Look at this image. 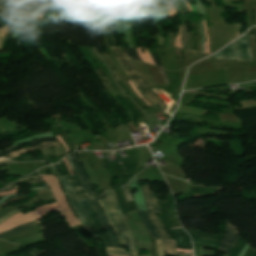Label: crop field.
<instances>
[{
    "mask_svg": "<svg viewBox=\"0 0 256 256\" xmlns=\"http://www.w3.org/2000/svg\"><path fill=\"white\" fill-rule=\"evenodd\" d=\"M35 225H38L37 221L32 222V223H28V224H24V225H22L20 227H17L15 229L0 233V237L7 236V235H10V234H15V233H17V232H19V231H21L25 228L32 227V226H35Z\"/></svg>",
    "mask_w": 256,
    "mask_h": 256,
    "instance_id": "crop-field-20",
    "label": "crop field"
},
{
    "mask_svg": "<svg viewBox=\"0 0 256 256\" xmlns=\"http://www.w3.org/2000/svg\"><path fill=\"white\" fill-rule=\"evenodd\" d=\"M22 1L33 2V3L39 4V2H36V1H29V0H22Z\"/></svg>",
    "mask_w": 256,
    "mask_h": 256,
    "instance_id": "crop-field-52",
    "label": "crop field"
},
{
    "mask_svg": "<svg viewBox=\"0 0 256 256\" xmlns=\"http://www.w3.org/2000/svg\"><path fill=\"white\" fill-rule=\"evenodd\" d=\"M115 58L127 74L129 78L142 76L136 66L132 63V61L128 58L125 52L121 49V47H110Z\"/></svg>",
    "mask_w": 256,
    "mask_h": 256,
    "instance_id": "crop-field-8",
    "label": "crop field"
},
{
    "mask_svg": "<svg viewBox=\"0 0 256 256\" xmlns=\"http://www.w3.org/2000/svg\"><path fill=\"white\" fill-rule=\"evenodd\" d=\"M175 45H174V47H180V48H182V46H181V39H180V33L178 34V36L175 38Z\"/></svg>",
    "mask_w": 256,
    "mask_h": 256,
    "instance_id": "crop-field-34",
    "label": "crop field"
},
{
    "mask_svg": "<svg viewBox=\"0 0 256 256\" xmlns=\"http://www.w3.org/2000/svg\"><path fill=\"white\" fill-rule=\"evenodd\" d=\"M98 201H99V203H100V205H101V207H102V209H103L107 219L109 220V222H110V224H111L115 234L119 238L120 244L121 245H127V240H126L123 232L121 231V229H120V227H119L115 217L111 214L106 199L103 198V199H100Z\"/></svg>",
    "mask_w": 256,
    "mask_h": 256,
    "instance_id": "crop-field-10",
    "label": "crop field"
},
{
    "mask_svg": "<svg viewBox=\"0 0 256 256\" xmlns=\"http://www.w3.org/2000/svg\"><path fill=\"white\" fill-rule=\"evenodd\" d=\"M63 161H64V163H65V165H66V167H67V169H68L70 175H73V174H72V171H71V169H70L69 163H68V161H67V158L65 157V158L63 159Z\"/></svg>",
    "mask_w": 256,
    "mask_h": 256,
    "instance_id": "crop-field-37",
    "label": "crop field"
},
{
    "mask_svg": "<svg viewBox=\"0 0 256 256\" xmlns=\"http://www.w3.org/2000/svg\"><path fill=\"white\" fill-rule=\"evenodd\" d=\"M195 32H196V30H194L193 35L195 34ZM194 50L197 51V48H196V38H194Z\"/></svg>",
    "mask_w": 256,
    "mask_h": 256,
    "instance_id": "crop-field-45",
    "label": "crop field"
},
{
    "mask_svg": "<svg viewBox=\"0 0 256 256\" xmlns=\"http://www.w3.org/2000/svg\"><path fill=\"white\" fill-rule=\"evenodd\" d=\"M177 252H184V253H192V250H179L176 249Z\"/></svg>",
    "mask_w": 256,
    "mask_h": 256,
    "instance_id": "crop-field-43",
    "label": "crop field"
},
{
    "mask_svg": "<svg viewBox=\"0 0 256 256\" xmlns=\"http://www.w3.org/2000/svg\"><path fill=\"white\" fill-rule=\"evenodd\" d=\"M65 15H66V8H65V11H64L63 20H65Z\"/></svg>",
    "mask_w": 256,
    "mask_h": 256,
    "instance_id": "crop-field-54",
    "label": "crop field"
},
{
    "mask_svg": "<svg viewBox=\"0 0 256 256\" xmlns=\"http://www.w3.org/2000/svg\"><path fill=\"white\" fill-rule=\"evenodd\" d=\"M40 178L39 175H36V176H32V177H28V178H24V179H21L19 181H17L16 183H19V182H23V181H27V180H32V179H38ZM15 183V184H16ZM14 185V184H13ZM12 186V185H11Z\"/></svg>",
    "mask_w": 256,
    "mask_h": 256,
    "instance_id": "crop-field-35",
    "label": "crop field"
},
{
    "mask_svg": "<svg viewBox=\"0 0 256 256\" xmlns=\"http://www.w3.org/2000/svg\"><path fill=\"white\" fill-rule=\"evenodd\" d=\"M194 52V51H193ZM198 56H200L201 58H203V57H205V56H207V55H205V54H202V53H199V52H195Z\"/></svg>",
    "mask_w": 256,
    "mask_h": 256,
    "instance_id": "crop-field-47",
    "label": "crop field"
},
{
    "mask_svg": "<svg viewBox=\"0 0 256 256\" xmlns=\"http://www.w3.org/2000/svg\"><path fill=\"white\" fill-rule=\"evenodd\" d=\"M96 7L100 19L101 30L104 35L105 46H116L115 40L112 38V29L110 26V18L107 7L97 5Z\"/></svg>",
    "mask_w": 256,
    "mask_h": 256,
    "instance_id": "crop-field-9",
    "label": "crop field"
},
{
    "mask_svg": "<svg viewBox=\"0 0 256 256\" xmlns=\"http://www.w3.org/2000/svg\"><path fill=\"white\" fill-rule=\"evenodd\" d=\"M138 213H139V215H140V217H141V219H142V221H143V223H144V225H145V227H146V229H147L151 239L159 238L158 235L156 234V232H155V230H154V228H153L149 218H148L147 213L146 212H138Z\"/></svg>",
    "mask_w": 256,
    "mask_h": 256,
    "instance_id": "crop-field-15",
    "label": "crop field"
},
{
    "mask_svg": "<svg viewBox=\"0 0 256 256\" xmlns=\"http://www.w3.org/2000/svg\"><path fill=\"white\" fill-rule=\"evenodd\" d=\"M122 191H123V193L125 195V198H126L127 202L133 201L132 194L129 191V185L124 186L122 188Z\"/></svg>",
    "mask_w": 256,
    "mask_h": 256,
    "instance_id": "crop-field-24",
    "label": "crop field"
},
{
    "mask_svg": "<svg viewBox=\"0 0 256 256\" xmlns=\"http://www.w3.org/2000/svg\"><path fill=\"white\" fill-rule=\"evenodd\" d=\"M238 234L239 232L236 230V228L230 225L229 221H227L226 235L219 249L220 251L226 252L225 256H228L229 252L231 251L238 238Z\"/></svg>",
    "mask_w": 256,
    "mask_h": 256,
    "instance_id": "crop-field-11",
    "label": "crop field"
},
{
    "mask_svg": "<svg viewBox=\"0 0 256 256\" xmlns=\"http://www.w3.org/2000/svg\"><path fill=\"white\" fill-rule=\"evenodd\" d=\"M47 188H48L47 186H42V187L35 188L31 191H40V190L47 189Z\"/></svg>",
    "mask_w": 256,
    "mask_h": 256,
    "instance_id": "crop-field-41",
    "label": "crop field"
},
{
    "mask_svg": "<svg viewBox=\"0 0 256 256\" xmlns=\"http://www.w3.org/2000/svg\"><path fill=\"white\" fill-rule=\"evenodd\" d=\"M71 155L74 160L75 169L80 178L81 187H82L83 191L87 192V194L86 193H84V194H85L88 204L95 211L100 223L104 227L107 235L110 237L112 246H119L118 238L113 233L108 220L106 219V217L104 216L103 212L101 211V209L98 205L97 199H96L94 193L92 192V188H91L90 182L88 180V177L82 169L80 160L77 157H75L74 154H71Z\"/></svg>",
    "mask_w": 256,
    "mask_h": 256,
    "instance_id": "crop-field-3",
    "label": "crop field"
},
{
    "mask_svg": "<svg viewBox=\"0 0 256 256\" xmlns=\"http://www.w3.org/2000/svg\"><path fill=\"white\" fill-rule=\"evenodd\" d=\"M126 54L130 57V59H139L138 54L136 52V48H124ZM141 61V60H140Z\"/></svg>",
    "mask_w": 256,
    "mask_h": 256,
    "instance_id": "crop-field-22",
    "label": "crop field"
},
{
    "mask_svg": "<svg viewBox=\"0 0 256 256\" xmlns=\"http://www.w3.org/2000/svg\"><path fill=\"white\" fill-rule=\"evenodd\" d=\"M170 47H173V34H171V42H170Z\"/></svg>",
    "mask_w": 256,
    "mask_h": 256,
    "instance_id": "crop-field-50",
    "label": "crop field"
},
{
    "mask_svg": "<svg viewBox=\"0 0 256 256\" xmlns=\"http://www.w3.org/2000/svg\"><path fill=\"white\" fill-rule=\"evenodd\" d=\"M150 51H151V54H152V56H153V59H154L156 65L162 67V65H161V63H160V61H159V59H158V57H157V54H156V53H153L152 50H150Z\"/></svg>",
    "mask_w": 256,
    "mask_h": 256,
    "instance_id": "crop-field-32",
    "label": "crop field"
},
{
    "mask_svg": "<svg viewBox=\"0 0 256 256\" xmlns=\"http://www.w3.org/2000/svg\"><path fill=\"white\" fill-rule=\"evenodd\" d=\"M41 151H42V153H43V157H41V158H34L32 155L23 156V157H22V162L34 161V160H46V159H49V158H53V157H54L51 148L43 149V150H41Z\"/></svg>",
    "mask_w": 256,
    "mask_h": 256,
    "instance_id": "crop-field-16",
    "label": "crop field"
},
{
    "mask_svg": "<svg viewBox=\"0 0 256 256\" xmlns=\"http://www.w3.org/2000/svg\"><path fill=\"white\" fill-rule=\"evenodd\" d=\"M106 252L108 256H130L129 253L119 247H106Z\"/></svg>",
    "mask_w": 256,
    "mask_h": 256,
    "instance_id": "crop-field-18",
    "label": "crop field"
},
{
    "mask_svg": "<svg viewBox=\"0 0 256 256\" xmlns=\"http://www.w3.org/2000/svg\"><path fill=\"white\" fill-rule=\"evenodd\" d=\"M252 85H256V82H251V83H247V84L239 85V87L252 86Z\"/></svg>",
    "mask_w": 256,
    "mask_h": 256,
    "instance_id": "crop-field-42",
    "label": "crop field"
},
{
    "mask_svg": "<svg viewBox=\"0 0 256 256\" xmlns=\"http://www.w3.org/2000/svg\"><path fill=\"white\" fill-rule=\"evenodd\" d=\"M214 57L217 59L253 61L247 34L235 40Z\"/></svg>",
    "mask_w": 256,
    "mask_h": 256,
    "instance_id": "crop-field-5",
    "label": "crop field"
},
{
    "mask_svg": "<svg viewBox=\"0 0 256 256\" xmlns=\"http://www.w3.org/2000/svg\"><path fill=\"white\" fill-rule=\"evenodd\" d=\"M16 196H20L19 194H14V195H8V196H4V197H1V201H0V204L4 203L7 199L9 198H13V197H16Z\"/></svg>",
    "mask_w": 256,
    "mask_h": 256,
    "instance_id": "crop-field-33",
    "label": "crop field"
},
{
    "mask_svg": "<svg viewBox=\"0 0 256 256\" xmlns=\"http://www.w3.org/2000/svg\"><path fill=\"white\" fill-rule=\"evenodd\" d=\"M129 83H130L132 89L134 90V92H135L139 97H141V98L147 103L148 106H151V104H150L147 100H145V99L138 93L137 89H136L135 86L132 84V82L130 81Z\"/></svg>",
    "mask_w": 256,
    "mask_h": 256,
    "instance_id": "crop-field-30",
    "label": "crop field"
},
{
    "mask_svg": "<svg viewBox=\"0 0 256 256\" xmlns=\"http://www.w3.org/2000/svg\"><path fill=\"white\" fill-rule=\"evenodd\" d=\"M46 169L47 170L50 169V172H51L50 175H56L57 179L60 182V185L63 189V192H64V194L67 198V201H68L71 209L73 210V212L75 213V215L79 219L82 226L90 232L92 237H94V238H100L101 237L105 246H111L110 239L108 238V236L104 232L103 228L99 224L94 212L90 209V207L86 203L85 197H84L83 192H82L81 187H80V183L78 181V177L77 176H68L72 185H73V187H74V190L76 192V195L78 197V200H79L82 208L84 209L85 213L89 217L90 221L92 222L95 230L100 235V237L98 236V234L94 230L91 222L89 221V219L87 218L83 209L81 208V206H80V204L77 200V197L75 195V192H74V190H73V188L70 184V181H69L68 177L67 176L60 177V174H59V171H58L56 165L46 167Z\"/></svg>",
    "mask_w": 256,
    "mask_h": 256,
    "instance_id": "crop-field-1",
    "label": "crop field"
},
{
    "mask_svg": "<svg viewBox=\"0 0 256 256\" xmlns=\"http://www.w3.org/2000/svg\"><path fill=\"white\" fill-rule=\"evenodd\" d=\"M141 49H142V48H137V52H138L139 56L141 57V59H142L144 62L148 63V64H153V65H155L154 62H153V60H152V58H151L150 53L146 50V48H144V50H145V53H144V54H143V52H142Z\"/></svg>",
    "mask_w": 256,
    "mask_h": 256,
    "instance_id": "crop-field-21",
    "label": "crop field"
},
{
    "mask_svg": "<svg viewBox=\"0 0 256 256\" xmlns=\"http://www.w3.org/2000/svg\"><path fill=\"white\" fill-rule=\"evenodd\" d=\"M203 24H204V28H205V36L207 38V41H206V44H205V52L210 54L208 28H207V24H206L205 21H203Z\"/></svg>",
    "mask_w": 256,
    "mask_h": 256,
    "instance_id": "crop-field-25",
    "label": "crop field"
},
{
    "mask_svg": "<svg viewBox=\"0 0 256 256\" xmlns=\"http://www.w3.org/2000/svg\"><path fill=\"white\" fill-rule=\"evenodd\" d=\"M184 1H185L186 5H187V7H188V10H189V11H192V10H191V7H190V5H189V3H188V1H187V0H184Z\"/></svg>",
    "mask_w": 256,
    "mask_h": 256,
    "instance_id": "crop-field-48",
    "label": "crop field"
},
{
    "mask_svg": "<svg viewBox=\"0 0 256 256\" xmlns=\"http://www.w3.org/2000/svg\"><path fill=\"white\" fill-rule=\"evenodd\" d=\"M9 26L10 24H6L3 28H0V50H2V45L7 37V33H8V30H9ZM12 27H13V24H11V27H10V33H9V37L11 36V33H12Z\"/></svg>",
    "mask_w": 256,
    "mask_h": 256,
    "instance_id": "crop-field-19",
    "label": "crop field"
},
{
    "mask_svg": "<svg viewBox=\"0 0 256 256\" xmlns=\"http://www.w3.org/2000/svg\"><path fill=\"white\" fill-rule=\"evenodd\" d=\"M159 47H166V37L161 38L160 34H157Z\"/></svg>",
    "mask_w": 256,
    "mask_h": 256,
    "instance_id": "crop-field-27",
    "label": "crop field"
},
{
    "mask_svg": "<svg viewBox=\"0 0 256 256\" xmlns=\"http://www.w3.org/2000/svg\"><path fill=\"white\" fill-rule=\"evenodd\" d=\"M141 190L146 204V208L148 210L149 218L154 227L156 228L159 237L164 239L166 253L177 256H193V254L175 253L176 242L175 240L169 239L164 227L162 226L158 218L157 213H160V208L156 197L153 195L152 192H150L149 185H144L143 187H141Z\"/></svg>",
    "mask_w": 256,
    "mask_h": 256,
    "instance_id": "crop-field-2",
    "label": "crop field"
},
{
    "mask_svg": "<svg viewBox=\"0 0 256 256\" xmlns=\"http://www.w3.org/2000/svg\"><path fill=\"white\" fill-rule=\"evenodd\" d=\"M157 68H158V67H157ZM158 69H159V71L162 73L163 78H164V80H165V83H166V84H169L168 81H167V77H166V74H165L164 70H162V69H160V68H158Z\"/></svg>",
    "mask_w": 256,
    "mask_h": 256,
    "instance_id": "crop-field-39",
    "label": "crop field"
},
{
    "mask_svg": "<svg viewBox=\"0 0 256 256\" xmlns=\"http://www.w3.org/2000/svg\"><path fill=\"white\" fill-rule=\"evenodd\" d=\"M0 15H6L10 17L14 16L19 18H31V19L41 18V13L26 12V11L2 8V7H0Z\"/></svg>",
    "mask_w": 256,
    "mask_h": 256,
    "instance_id": "crop-field-12",
    "label": "crop field"
},
{
    "mask_svg": "<svg viewBox=\"0 0 256 256\" xmlns=\"http://www.w3.org/2000/svg\"><path fill=\"white\" fill-rule=\"evenodd\" d=\"M156 241V246H157V251L159 256H165V251H164V246H163V240H155Z\"/></svg>",
    "mask_w": 256,
    "mask_h": 256,
    "instance_id": "crop-field-23",
    "label": "crop field"
},
{
    "mask_svg": "<svg viewBox=\"0 0 256 256\" xmlns=\"http://www.w3.org/2000/svg\"><path fill=\"white\" fill-rule=\"evenodd\" d=\"M96 73H97V74L99 75V77L101 78V80H102V82H103L105 88L108 89V87H107V85H106V83H105V81H104L102 75L97 71V69H96Z\"/></svg>",
    "mask_w": 256,
    "mask_h": 256,
    "instance_id": "crop-field-40",
    "label": "crop field"
},
{
    "mask_svg": "<svg viewBox=\"0 0 256 256\" xmlns=\"http://www.w3.org/2000/svg\"><path fill=\"white\" fill-rule=\"evenodd\" d=\"M102 56V58L105 60V62L108 64V66L110 67V69L113 71V73L116 75V77H117V79H118V81L119 80H121L120 79V77L117 75V73L115 72V70H114V68L112 67V65L109 63V61L105 58V56L104 55H101Z\"/></svg>",
    "mask_w": 256,
    "mask_h": 256,
    "instance_id": "crop-field-28",
    "label": "crop field"
},
{
    "mask_svg": "<svg viewBox=\"0 0 256 256\" xmlns=\"http://www.w3.org/2000/svg\"><path fill=\"white\" fill-rule=\"evenodd\" d=\"M167 47H169V34H168V37H167Z\"/></svg>",
    "mask_w": 256,
    "mask_h": 256,
    "instance_id": "crop-field-53",
    "label": "crop field"
},
{
    "mask_svg": "<svg viewBox=\"0 0 256 256\" xmlns=\"http://www.w3.org/2000/svg\"><path fill=\"white\" fill-rule=\"evenodd\" d=\"M53 210L57 212L61 211L57 203H54V204L38 207L35 210L24 215L22 212L18 213L0 224V232L12 229L23 223L32 222L46 215L49 211H53Z\"/></svg>",
    "mask_w": 256,
    "mask_h": 256,
    "instance_id": "crop-field-4",
    "label": "crop field"
},
{
    "mask_svg": "<svg viewBox=\"0 0 256 256\" xmlns=\"http://www.w3.org/2000/svg\"><path fill=\"white\" fill-rule=\"evenodd\" d=\"M44 141H57V140H56L55 138H43V139H38V140H35V141L31 142V143H26V144H31V146H35V145H37V144H39V143H41V142H44ZM22 145H23V144H22ZM29 147H30V146H29ZM19 148H22L21 145L16 146V147H14V148H11V149H9V150H7V151L0 152V156H2V155H4V154H7V153H10V152H12V151H15V150H17V149H19Z\"/></svg>",
    "mask_w": 256,
    "mask_h": 256,
    "instance_id": "crop-field-17",
    "label": "crop field"
},
{
    "mask_svg": "<svg viewBox=\"0 0 256 256\" xmlns=\"http://www.w3.org/2000/svg\"><path fill=\"white\" fill-rule=\"evenodd\" d=\"M57 140L63 145L64 149L66 150V152H69V148L66 145V143L62 140V138L60 137V135L56 136Z\"/></svg>",
    "mask_w": 256,
    "mask_h": 256,
    "instance_id": "crop-field-31",
    "label": "crop field"
},
{
    "mask_svg": "<svg viewBox=\"0 0 256 256\" xmlns=\"http://www.w3.org/2000/svg\"><path fill=\"white\" fill-rule=\"evenodd\" d=\"M29 183H39V182H42L41 179H38V180H33V181H28Z\"/></svg>",
    "mask_w": 256,
    "mask_h": 256,
    "instance_id": "crop-field-46",
    "label": "crop field"
},
{
    "mask_svg": "<svg viewBox=\"0 0 256 256\" xmlns=\"http://www.w3.org/2000/svg\"><path fill=\"white\" fill-rule=\"evenodd\" d=\"M98 70H99L100 73L104 76V78H105V80H106V82H107L109 88L113 90V88L111 87V85H110V83H109V81H108L106 75L104 74V72H103L100 68H98Z\"/></svg>",
    "mask_w": 256,
    "mask_h": 256,
    "instance_id": "crop-field-36",
    "label": "crop field"
},
{
    "mask_svg": "<svg viewBox=\"0 0 256 256\" xmlns=\"http://www.w3.org/2000/svg\"><path fill=\"white\" fill-rule=\"evenodd\" d=\"M14 181H15V180H14ZM14 181H12V182H14ZM12 182H11V183H12ZM0 183H1L4 187H6V186H8L9 184H11V183H9V184L6 185V184L3 183L1 180H0ZM1 188H3V187H1Z\"/></svg>",
    "mask_w": 256,
    "mask_h": 256,
    "instance_id": "crop-field-49",
    "label": "crop field"
},
{
    "mask_svg": "<svg viewBox=\"0 0 256 256\" xmlns=\"http://www.w3.org/2000/svg\"><path fill=\"white\" fill-rule=\"evenodd\" d=\"M104 192H105V196L110 204L111 210H112L114 216L116 217V219L118 220L119 225L128 240L131 256H138L137 251L135 249V240H134V238L125 222L124 216L117 204L114 192L108 191V190H104Z\"/></svg>",
    "mask_w": 256,
    "mask_h": 256,
    "instance_id": "crop-field-7",
    "label": "crop field"
},
{
    "mask_svg": "<svg viewBox=\"0 0 256 256\" xmlns=\"http://www.w3.org/2000/svg\"><path fill=\"white\" fill-rule=\"evenodd\" d=\"M50 186L56 200L58 201L66 220L68 221L70 227L80 225L78 219L71 211L66 198L61 190V187L56 179L55 176H49V175H40Z\"/></svg>",
    "mask_w": 256,
    "mask_h": 256,
    "instance_id": "crop-field-6",
    "label": "crop field"
},
{
    "mask_svg": "<svg viewBox=\"0 0 256 256\" xmlns=\"http://www.w3.org/2000/svg\"><path fill=\"white\" fill-rule=\"evenodd\" d=\"M15 188H16L15 186L12 187V188L8 187V188H6V189H4V190H2V191H7V190L15 189ZM2 191H0V192H2Z\"/></svg>",
    "mask_w": 256,
    "mask_h": 256,
    "instance_id": "crop-field-51",
    "label": "crop field"
},
{
    "mask_svg": "<svg viewBox=\"0 0 256 256\" xmlns=\"http://www.w3.org/2000/svg\"><path fill=\"white\" fill-rule=\"evenodd\" d=\"M60 144L58 142H45V143H42L40 145H37L35 147H31V148H26V149H21L19 151H15V152H12L8 155H5L3 157H1L0 159H12L26 151H30V150H34V149H42V148H46V147H54V146H59Z\"/></svg>",
    "mask_w": 256,
    "mask_h": 256,
    "instance_id": "crop-field-13",
    "label": "crop field"
},
{
    "mask_svg": "<svg viewBox=\"0 0 256 256\" xmlns=\"http://www.w3.org/2000/svg\"><path fill=\"white\" fill-rule=\"evenodd\" d=\"M193 244L195 254L212 253L213 251H203V246L214 248L215 241L210 239H195Z\"/></svg>",
    "mask_w": 256,
    "mask_h": 256,
    "instance_id": "crop-field-14",
    "label": "crop field"
},
{
    "mask_svg": "<svg viewBox=\"0 0 256 256\" xmlns=\"http://www.w3.org/2000/svg\"><path fill=\"white\" fill-rule=\"evenodd\" d=\"M181 227H177V228H171L170 230H173V229H180Z\"/></svg>",
    "mask_w": 256,
    "mask_h": 256,
    "instance_id": "crop-field-55",
    "label": "crop field"
},
{
    "mask_svg": "<svg viewBox=\"0 0 256 256\" xmlns=\"http://www.w3.org/2000/svg\"><path fill=\"white\" fill-rule=\"evenodd\" d=\"M14 193H17V189H15V190H11V191H7V192H3V193H0V196H2V195H6V194H14Z\"/></svg>",
    "mask_w": 256,
    "mask_h": 256,
    "instance_id": "crop-field-38",
    "label": "crop field"
},
{
    "mask_svg": "<svg viewBox=\"0 0 256 256\" xmlns=\"http://www.w3.org/2000/svg\"><path fill=\"white\" fill-rule=\"evenodd\" d=\"M67 157H68V159H69V161H70V164H71V166H72V169H73L74 174L77 175L76 172H75V170H74V168H73V164H72V160H71L70 155L67 156Z\"/></svg>",
    "mask_w": 256,
    "mask_h": 256,
    "instance_id": "crop-field-44",
    "label": "crop field"
},
{
    "mask_svg": "<svg viewBox=\"0 0 256 256\" xmlns=\"http://www.w3.org/2000/svg\"><path fill=\"white\" fill-rule=\"evenodd\" d=\"M174 4L176 6L177 11H180L181 14H184L180 1L179 0H174Z\"/></svg>",
    "mask_w": 256,
    "mask_h": 256,
    "instance_id": "crop-field-29",
    "label": "crop field"
},
{
    "mask_svg": "<svg viewBox=\"0 0 256 256\" xmlns=\"http://www.w3.org/2000/svg\"><path fill=\"white\" fill-rule=\"evenodd\" d=\"M165 2H166V5H167V8H168V11H169V15L172 16L176 12V10H175L171 0H167Z\"/></svg>",
    "mask_w": 256,
    "mask_h": 256,
    "instance_id": "crop-field-26",
    "label": "crop field"
}]
</instances>
